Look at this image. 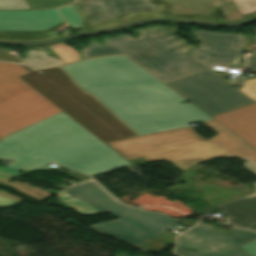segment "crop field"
Instances as JSON below:
<instances>
[{
  "label": "crop field",
  "mask_w": 256,
  "mask_h": 256,
  "mask_svg": "<svg viewBox=\"0 0 256 256\" xmlns=\"http://www.w3.org/2000/svg\"><path fill=\"white\" fill-rule=\"evenodd\" d=\"M62 68L139 135L203 121L219 134L207 140L256 175V149L160 83L123 55L78 61ZM85 86H81V85Z\"/></svg>",
  "instance_id": "crop-field-1"
},
{
  "label": "crop field",
  "mask_w": 256,
  "mask_h": 256,
  "mask_svg": "<svg viewBox=\"0 0 256 256\" xmlns=\"http://www.w3.org/2000/svg\"><path fill=\"white\" fill-rule=\"evenodd\" d=\"M138 31L140 38L136 40L123 35L106 41L207 115L213 117L256 102V78L241 80L235 89L210 72L214 62L232 63L233 59L184 53L187 49L169 26Z\"/></svg>",
  "instance_id": "crop-field-2"
},
{
  "label": "crop field",
  "mask_w": 256,
  "mask_h": 256,
  "mask_svg": "<svg viewBox=\"0 0 256 256\" xmlns=\"http://www.w3.org/2000/svg\"><path fill=\"white\" fill-rule=\"evenodd\" d=\"M0 158L14 160L0 166V172L14 176L18 170L50 169L49 162L89 176L129 165L63 112L2 138Z\"/></svg>",
  "instance_id": "crop-field-3"
},
{
  "label": "crop field",
  "mask_w": 256,
  "mask_h": 256,
  "mask_svg": "<svg viewBox=\"0 0 256 256\" xmlns=\"http://www.w3.org/2000/svg\"><path fill=\"white\" fill-rule=\"evenodd\" d=\"M58 198L78 214H96L106 211L118 220L91 225L101 234L110 235L139 248L162 251L169 244L155 238L156 235L181 221L159 212H147L141 208L121 205L94 182H86L64 191H53Z\"/></svg>",
  "instance_id": "crop-field-4"
},
{
  "label": "crop field",
  "mask_w": 256,
  "mask_h": 256,
  "mask_svg": "<svg viewBox=\"0 0 256 256\" xmlns=\"http://www.w3.org/2000/svg\"><path fill=\"white\" fill-rule=\"evenodd\" d=\"M20 78L103 142L137 135L58 67L32 71Z\"/></svg>",
  "instance_id": "crop-field-5"
},
{
  "label": "crop field",
  "mask_w": 256,
  "mask_h": 256,
  "mask_svg": "<svg viewBox=\"0 0 256 256\" xmlns=\"http://www.w3.org/2000/svg\"><path fill=\"white\" fill-rule=\"evenodd\" d=\"M127 159L167 160L185 170L199 162L228 157L190 128L108 143Z\"/></svg>",
  "instance_id": "crop-field-6"
},
{
  "label": "crop field",
  "mask_w": 256,
  "mask_h": 256,
  "mask_svg": "<svg viewBox=\"0 0 256 256\" xmlns=\"http://www.w3.org/2000/svg\"><path fill=\"white\" fill-rule=\"evenodd\" d=\"M28 71L0 62V139L61 112L18 76Z\"/></svg>",
  "instance_id": "crop-field-7"
},
{
  "label": "crop field",
  "mask_w": 256,
  "mask_h": 256,
  "mask_svg": "<svg viewBox=\"0 0 256 256\" xmlns=\"http://www.w3.org/2000/svg\"><path fill=\"white\" fill-rule=\"evenodd\" d=\"M64 24L58 9L0 11V39L37 40L56 37L52 29Z\"/></svg>",
  "instance_id": "crop-field-8"
},
{
  "label": "crop field",
  "mask_w": 256,
  "mask_h": 256,
  "mask_svg": "<svg viewBox=\"0 0 256 256\" xmlns=\"http://www.w3.org/2000/svg\"><path fill=\"white\" fill-rule=\"evenodd\" d=\"M82 6L94 29L133 19L161 17L157 5L148 0H93Z\"/></svg>",
  "instance_id": "crop-field-9"
},
{
  "label": "crop field",
  "mask_w": 256,
  "mask_h": 256,
  "mask_svg": "<svg viewBox=\"0 0 256 256\" xmlns=\"http://www.w3.org/2000/svg\"><path fill=\"white\" fill-rule=\"evenodd\" d=\"M175 253L185 256H249L206 224H198L179 236Z\"/></svg>",
  "instance_id": "crop-field-10"
},
{
  "label": "crop field",
  "mask_w": 256,
  "mask_h": 256,
  "mask_svg": "<svg viewBox=\"0 0 256 256\" xmlns=\"http://www.w3.org/2000/svg\"><path fill=\"white\" fill-rule=\"evenodd\" d=\"M171 14L189 18L194 15H207L208 7H220L226 21L242 20L232 0H170Z\"/></svg>",
  "instance_id": "crop-field-11"
},
{
  "label": "crop field",
  "mask_w": 256,
  "mask_h": 256,
  "mask_svg": "<svg viewBox=\"0 0 256 256\" xmlns=\"http://www.w3.org/2000/svg\"><path fill=\"white\" fill-rule=\"evenodd\" d=\"M213 118L256 148V103Z\"/></svg>",
  "instance_id": "crop-field-12"
},
{
  "label": "crop field",
  "mask_w": 256,
  "mask_h": 256,
  "mask_svg": "<svg viewBox=\"0 0 256 256\" xmlns=\"http://www.w3.org/2000/svg\"><path fill=\"white\" fill-rule=\"evenodd\" d=\"M196 37L203 44L199 53L235 58L242 36L237 34L196 30Z\"/></svg>",
  "instance_id": "crop-field-13"
},
{
  "label": "crop field",
  "mask_w": 256,
  "mask_h": 256,
  "mask_svg": "<svg viewBox=\"0 0 256 256\" xmlns=\"http://www.w3.org/2000/svg\"><path fill=\"white\" fill-rule=\"evenodd\" d=\"M256 189V182L254 183ZM232 217L226 223L256 230V193L217 206Z\"/></svg>",
  "instance_id": "crop-field-14"
},
{
  "label": "crop field",
  "mask_w": 256,
  "mask_h": 256,
  "mask_svg": "<svg viewBox=\"0 0 256 256\" xmlns=\"http://www.w3.org/2000/svg\"><path fill=\"white\" fill-rule=\"evenodd\" d=\"M8 178H9L8 176H4V175L0 174V185L11 186L14 189H16L18 192L28 195V196L38 200L39 202L52 195L46 191L39 190L31 185L24 184L17 180H13L11 183H8L7 182Z\"/></svg>",
  "instance_id": "crop-field-15"
},
{
  "label": "crop field",
  "mask_w": 256,
  "mask_h": 256,
  "mask_svg": "<svg viewBox=\"0 0 256 256\" xmlns=\"http://www.w3.org/2000/svg\"><path fill=\"white\" fill-rule=\"evenodd\" d=\"M24 63L34 69L64 64L60 59H53L41 52H32L23 60Z\"/></svg>",
  "instance_id": "crop-field-16"
},
{
  "label": "crop field",
  "mask_w": 256,
  "mask_h": 256,
  "mask_svg": "<svg viewBox=\"0 0 256 256\" xmlns=\"http://www.w3.org/2000/svg\"><path fill=\"white\" fill-rule=\"evenodd\" d=\"M79 46L83 49V58H89L98 55H105V54H115L120 53L110 44L103 46L99 42L93 39H89L87 46H84L77 42Z\"/></svg>",
  "instance_id": "crop-field-17"
},
{
  "label": "crop field",
  "mask_w": 256,
  "mask_h": 256,
  "mask_svg": "<svg viewBox=\"0 0 256 256\" xmlns=\"http://www.w3.org/2000/svg\"><path fill=\"white\" fill-rule=\"evenodd\" d=\"M47 48L50 52L59 57L65 63L82 59L80 55L77 53V51L65 45L63 42L55 45H48Z\"/></svg>",
  "instance_id": "crop-field-18"
},
{
  "label": "crop field",
  "mask_w": 256,
  "mask_h": 256,
  "mask_svg": "<svg viewBox=\"0 0 256 256\" xmlns=\"http://www.w3.org/2000/svg\"><path fill=\"white\" fill-rule=\"evenodd\" d=\"M222 234L224 236H226L227 238H229L231 241H233L238 246L244 245L248 242L256 240V233L238 229V228H234V229L224 232Z\"/></svg>",
  "instance_id": "crop-field-19"
},
{
  "label": "crop field",
  "mask_w": 256,
  "mask_h": 256,
  "mask_svg": "<svg viewBox=\"0 0 256 256\" xmlns=\"http://www.w3.org/2000/svg\"><path fill=\"white\" fill-rule=\"evenodd\" d=\"M60 11L66 18L68 24L71 25V27H73L74 29L81 27L82 18L79 15L75 5L60 8Z\"/></svg>",
  "instance_id": "crop-field-20"
},
{
  "label": "crop field",
  "mask_w": 256,
  "mask_h": 256,
  "mask_svg": "<svg viewBox=\"0 0 256 256\" xmlns=\"http://www.w3.org/2000/svg\"><path fill=\"white\" fill-rule=\"evenodd\" d=\"M74 0H27L31 9H44L49 7H59L66 2H72Z\"/></svg>",
  "instance_id": "crop-field-21"
},
{
  "label": "crop field",
  "mask_w": 256,
  "mask_h": 256,
  "mask_svg": "<svg viewBox=\"0 0 256 256\" xmlns=\"http://www.w3.org/2000/svg\"><path fill=\"white\" fill-rule=\"evenodd\" d=\"M30 9L25 0H0V10Z\"/></svg>",
  "instance_id": "crop-field-22"
},
{
  "label": "crop field",
  "mask_w": 256,
  "mask_h": 256,
  "mask_svg": "<svg viewBox=\"0 0 256 256\" xmlns=\"http://www.w3.org/2000/svg\"><path fill=\"white\" fill-rule=\"evenodd\" d=\"M241 15L251 13L256 10V0H233Z\"/></svg>",
  "instance_id": "crop-field-23"
},
{
  "label": "crop field",
  "mask_w": 256,
  "mask_h": 256,
  "mask_svg": "<svg viewBox=\"0 0 256 256\" xmlns=\"http://www.w3.org/2000/svg\"><path fill=\"white\" fill-rule=\"evenodd\" d=\"M22 200L4 191H0V207H14Z\"/></svg>",
  "instance_id": "crop-field-24"
},
{
  "label": "crop field",
  "mask_w": 256,
  "mask_h": 256,
  "mask_svg": "<svg viewBox=\"0 0 256 256\" xmlns=\"http://www.w3.org/2000/svg\"><path fill=\"white\" fill-rule=\"evenodd\" d=\"M0 60L21 63L18 56L16 54L12 53L10 50L0 49Z\"/></svg>",
  "instance_id": "crop-field-25"
},
{
  "label": "crop field",
  "mask_w": 256,
  "mask_h": 256,
  "mask_svg": "<svg viewBox=\"0 0 256 256\" xmlns=\"http://www.w3.org/2000/svg\"><path fill=\"white\" fill-rule=\"evenodd\" d=\"M240 248L244 250L246 253H248L249 255L256 256V241H253L249 244L241 246Z\"/></svg>",
  "instance_id": "crop-field-26"
},
{
  "label": "crop field",
  "mask_w": 256,
  "mask_h": 256,
  "mask_svg": "<svg viewBox=\"0 0 256 256\" xmlns=\"http://www.w3.org/2000/svg\"><path fill=\"white\" fill-rule=\"evenodd\" d=\"M255 33H256V28H255ZM252 52L255 56L248 59L245 67L251 68L256 72V49H254Z\"/></svg>",
  "instance_id": "crop-field-27"
},
{
  "label": "crop field",
  "mask_w": 256,
  "mask_h": 256,
  "mask_svg": "<svg viewBox=\"0 0 256 256\" xmlns=\"http://www.w3.org/2000/svg\"><path fill=\"white\" fill-rule=\"evenodd\" d=\"M77 1H85V0H77Z\"/></svg>",
  "instance_id": "crop-field-28"
}]
</instances>
